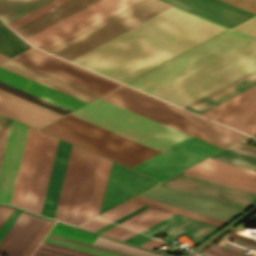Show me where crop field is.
Instances as JSON below:
<instances>
[{"label": "crop field", "mask_w": 256, "mask_h": 256, "mask_svg": "<svg viewBox=\"0 0 256 256\" xmlns=\"http://www.w3.org/2000/svg\"><path fill=\"white\" fill-rule=\"evenodd\" d=\"M225 29L172 7L71 61L125 83Z\"/></svg>", "instance_id": "1"}, {"label": "crop field", "mask_w": 256, "mask_h": 256, "mask_svg": "<svg viewBox=\"0 0 256 256\" xmlns=\"http://www.w3.org/2000/svg\"><path fill=\"white\" fill-rule=\"evenodd\" d=\"M70 114L159 151L189 136L100 98ZM70 114L40 130L129 167L159 152Z\"/></svg>", "instance_id": "2"}, {"label": "crop field", "mask_w": 256, "mask_h": 256, "mask_svg": "<svg viewBox=\"0 0 256 256\" xmlns=\"http://www.w3.org/2000/svg\"><path fill=\"white\" fill-rule=\"evenodd\" d=\"M256 69V40L151 95L182 107Z\"/></svg>", "instance_id": "3"}, {"label": "crop field", "mask_w": 256, "mask_h": 256, "mask_svg": "<svg viewBox=\"0 0 256 256\" xmlns=\"http://www.w3.org/2000/svg\"><path fill=\"white\" fill-rule=\"evenodd\" d=\"M107 101L193 135L221 148L245 135L194 116L122 86L102 97Z\"/></svg>", "instance_id": "4"}, {"label": "crop field", "mask_w": 256, "mask_h": 256, "mask_svg": "<svg viewBox=\"0 0 256 256\" xmlns=\"http://www.w3.org/2000/svg\"><path fill=\"white\" fill-rule=\"evenodd\" d=\"M171 6L139 0L44 51L70 60Z\"/></svg>", "instance_id": "5"}, {"label": "crop field", "mask_w": 256, "mask_h": 256, "mask_svg": "<svg viewBox=\"0 0 256 256\" xmlns=\"http://www.w3.org/2000/svg\"><path fill=\"white\" fill-rule=\"evenodd\" d=\"M253 39L231 30L181 54L127 85L152 93Z\"/></svg>", "instance_id": "6"}, {"label": "crop field", "mask_w": 256, "mask_h": 256, "mask_svg": "<svg viewBox=\"0 0 256 256\" xmlns=\"http://www.w3.org/2000/svg\"><path fill=\"white\" fill-rule=\"evenodd\" d=\"M220 149L190 136L132 168L160 182Z\"/></svg>", "instance_id": "7"}, {"label": "crop field", "mask_w": 256, "mask_h": 256, "mask_svg": "<svg viewBox=\"0 0 256 256\" xmlns=\"http://www.w3.org/2000/svg\"><path fill=\"white\" fill-rule=\"evenodd\" d=\"M161 183L171 189L189 193L244 210L256 202V193L183 172Z\"/></svg>", "instance_id": "8"}, {"label": "crop field", "mask_w": 256, "mask_h": 256, "mask_svg": "<svg viewBox=\"0 0 256 256\" xmlns=\"http://www.w3.org/2000/svg\"><path fill=\"white\" fill-rule=\"evenodd\" d=\"M117 0H100L88 7H86L85 9L65 18L64 20L46 28L45 30L27 38L26 40L29 41L32 45L49 37L50 35L66 28L67 26L83 19L84 17L102 9L103 7L115 2ZM137 0H119L105 8H103L102 10L86 17L85 19L67 27L66 29L50 36L49 38L35 44L34 46L44 50L54 44H56L57 42L67 38L68 36L80 31L81 29L93 24L94 22L120 10L121 8L135 2ZM95 24V23H94Z\"/></svg>", "instance_id": "9"}, {"label": "crop field", "mask_w": 256, "mask_h": 256, "mask_svg": "<svg viewBox=\"0 0 256 256\" xmlns=\"http://www.w3.org/2000/svg\"><path fill=\"white\" fill-rule=\"evenodd\" d=\"M13 58L97 92L101 95L120 85L33 48H30L18 54L17 57L14 56ZM23 58L24 60H22Z\"/></svg>", "instance_id": "10"}, {"label": "crop field", "mask_w": 256, "mask_h": 256, "mask_svg": "<svg viewBox=\"0 0 256 256\" xmlns=\"http://www.w3.org/2000/svg\"><path fill=\"white\" fill-rule=\"evenodd\" d=\"M156 183L149 176L111 162L99 213Z\"/></svg>", "instance_id": "11"}, {"label": "crop field", "mask_w": 256, "mask_h": 256, "mask_svg": "<svg viewBox=\"0 0 256 256\" xmlns=\"http://www.w3.org/2000/svg\"><path fill=\"white\" fill-rule=\"evenodd\" d=\"M201 115L248 133L256 120V85Z\"/></svg>", "instance_id": "12"}, {"label": "crop field", "mask_w": 256, "mask_h": 256, "mask_svg": "<svg viewBox=\"0 0 256 256\" xmlns=\"http://www.w3.org/2000/svg\"><path fill=\"white\" fill-rule=\"evenodd\" d=\"M138 196H142L148 199L159 201L165 204L183 208L227 222L231 221L243 212L242 210L165 189L160 184L139 194Z\"/></svg>", "instance_id": "13"}, {"label": "crop field", "mask_w": 256, "mask_h": 256, "mask_svg": "<svg viewBox=\"0 0 256 256\" xmlns=\"http://www.w3.org/2000/svg\"><path fill=\"white\" fill-rule=\"evenodd\" d=\"M183 172L256 192V172L207 158Z\"/></svg>", "instance_id": "14"}, {"label": "crop field", "mask_w": 256, "mask_h": 256, "mask_svg": "<svg viewBox=\"0 0 256 256\" xmlns=\"http://www.w3.org/2000/svg\"><path fill=\"white\" fill-rule=\"evenodd\" d=\"M87 151L72 145L63 184L55 212V219L65 222L71 221Z\"/></svg>", "instance_id": "15"}, {"label": "crop field", "mask_w": 256, "mask_h": 256, "mask_svg": "<svg viewBox=\"0 0 256 256\" xmlns=\"http://www.w3.org/2000/svg\"><path fill=\"white\" fill-rule=\"evenodd\" d=\"M28 126L12 123L1 171H0V202L10 204L15 179L24 148Z\"/></svg>", "instance_id": "16"}, {"label": "crop field", "mask_w": 256, "mask_h": 256, "mask_svg": "<svg viewBox=\"0 0 256 256\" xmlns=\"http://www.w3.org/2000/svg\"><path fill=\"white\" fill-rule=\"evenodd\" d=\"M58 140L43 134L30 188L28 191L25 209L32 212H41L46 187L52 167V162Z\"/></svg>", "instance_id": "17"}, {"label": "crop field", "mask_w": 256, "mask_h": 256, "mask_svg": "<svg viewBox=\"0 0 256 256\" xmlns=\"http://www.w3.org/2000/svg\"><path fill=\"white\" fill-rule=\"evenodd\" d=\"M228 28L254 15L220 0H163Z\"/></svg>", "instance_id": "18"}, {"label": "crop field", "mask_w": 256, "mask_h": 256, "mask_svg": "<svg viewBox=\"0 0 256 256\" xmlns=\"http://www.w3.org/2000/svg\"><path fill=\"white\" fill-rule=\"evenodd\" d=\"M0 113L36 129L62 116L1 89Z\"/></svg>", "instance_id": "19"}, {"label": "crop field", "mask_w": 256, "mask_h": 256, "mask_svg": "<svg viewBox=\"0 0 256 256\" xmlns=\"http://www.w3.org/2000/svg\"><path fill=\"white\" fill-rule=\"evenodd\" d=\"M47 220L22 212L0 242V252L9 256H21L40 232Z\"/></svg>", "instance_id": "20"}, {"label": "crop field", "mask_w": 256, "mask_h": 256, "mask_svg": "<svg viewBox=\"0 0 256 256\" xmlns=\"http://www.w3.org/2000/svg\"><path fill=\"white\" fill-rule=\"evenodd\" d=\"M0 67L40 82L44 85L72 95L76 98L89 102L101 95L17 61L13 58L0 64Z\"/></svg>", "instance_id": "21"}, {"label": "crop field", "mask_w": 256, "mask_h": 256, "mask_svg": "<svg viewBox=\"0 0 256 256\" xmlns=\"http://www.w3.org/2000/svg\"><path fill=\"white\" fill-rule=\"evenodd\" d=\"M216 229L218 227L173 214L140 232L152 237L162 232L168 237L164 239L166 242L185 233L197 243Z\"/></svg>", "instance_id": "22"}, {"label": "crop field", "mask_w": 256, "mask_h": 256, "mask_svg": "<svg viewBox=\"0 0 256 256\" xmlns=\"http://www.w3.org/2000/svg\"><path fill=\"white\" fill-rule=\"evenodd\" d=\"M42 134V132L29 128L11 202V204L22 208L24 207Z\"/></svg>", "instance_id": "23"}, {"label": "crop field", "mask_w": 256, "mask_h": 256, "mask_svg": "<svg viewBox=\"0 0 256 256\" xmlns=\"http://www.w3.org/2000/svg\"><path fill=\"white\" fill-rule=\"evenodd\" d=\"M0 81L25 90L29 93L57 103L71 110L85 104L86 102L72 96L44 86L40 83L0 68Z\"/></svg>", "instance_id": "24"}, {"label": "crop field", "mask_w": 256, "mask_h": 256, "mask_svg": "<svg viewBox=\"0 0 256 256\" xmlns=\"http://www.w3.org/2000/svg\"><path fill=\"white\" fill-rule=\"evenodd\" d=\"M96 1L98 0H70L13 30L25 39Z\"/></svg>", "instance_id": "25"}, {"label": "crop field", "mask_w": 256, "mask_h": 256, "mask_svg": "<svg viewBox=\"0 0 256 256\" xmlns=\"http://www.w3.org/2000/svg\"><path fill=\"white\" fill-rule=\"evenodd\" d=\"M71 145L59 140L43 204L42 215L54 216Z\"/></svg>", "instance_id": "26"}, {"label": "crop field", "mask_w": 256, "mask_h": 256, "mask_svg": "<svg viewBox=\"0 0 256 256\" xmlns=\"http://www.w3.org/2000/svg\"><path fill=\"white\" fill-rule=\"evenodd\" d=\"M256 83V71L234 81L233 83L209 94L208 96L186 106L185 108L200 113L248 88Z\"/></svg>", "instance_id": "27"}, {"label": "crop field", "mask_w": 256, "mask_h": 256, "mask_svg": "<svg viewBox=\"0 0 256 256\" xmlns=\"http://www.w3.org/2000/svg\"><path fill=\"white\" fill-rule=\"evenodd\" d=\"M99 156L94 155L89 152L72 222L73 224H81L84 221L91 189L93 186L98 162H99Z\"/></svg>", "instance_id": "28"}, {"label": "crop field", "mask_w": 256, "mask_h": 256, "mask_svg": "<svg viewBox=\"0 0 256 256\" xmlns=\"http://www.w3.org/2000/svg\"><path fill=\"white\" fill-rule=\"evenodd\" d=\"M52 0H0V19L6 24Z\"/></svg>", "instance_id": "29"}, {"label": "crop field", "mask_w": 256, "mask_h": 256, "mask_svg": "<svg viewBox=\"0 0 256 256\" xmlns=\"http://www.w3.org/2000/svg\"><path fill=\"white\" fill-rule=\"evenodd\" d=\"M110 162H111L110 160H107V159L102 158V157L100 158V162H99V166H98V170H97L93 190H92V193H91V197H90V201H89L85 221L87 219L97 215V213H98V209H99L103 189H104V186H105V182H106Z\"/></svg>", "instance_id": "30"}, {"label": "crop field", "mask_w": 256, "mask_h": 256, "mask_svg": "<svg viewBox=\"0 0 256 256\" xmlns=\"http://www.w3.org/2000/svg\"><path fill=\"white\" fill-rule=\"evenodd\" d=\"M28 48V45L0 24V53L12 57Z\"/></svg>", "instance_id": "31"}, {"label": "crop field", "mask_w": 256, "mask_h": 256, "mask_svg": "<svg viewBox=\"0 0 256 256\" xmlns=\"http://www.w3.org/2000/svg\"><path fill=\"white\" fill-rule=\"evenodd\" d=\"M210 158L256 171V157L225 149Z\"/></svg>", "instance_id": "32"}, {"label": "crop field", "mask_w": 256, "mask_h": 256, "mask_svg": "<svg viewBox=\"0 0 256 256\" xmlns=\"http://www.w3.org/2000/svg\"><path fill=\"white\" fill-rule=\"evenodd\" d=\"M130 200L141 202V203H144V204H147V205H151V206H154V207H158V208H161V209L172 211V212H175V213H178V214H182V215H185V216H189V217H192V218H196V219L203 220V221L213 223V224H216V225H220V226H223L227 223V222H223V221H220V220H217V219L206 217V216H203V215H200V214H196V213H193V212L182 210V209H179V208H176V207L165 205V204L155 202V201H152V200H148V199L138 197V196H135V197L131 198Z\"/></svg>", "instance_id": "33"}, {"label": "crop field", "mask_w": 256, "mask_h": 256, "mask_svg": "<svg viewBox=\"0 0 256 256\" xmlns=\"http://www.w3.org/2000/svg\"><path fill=\"white\" fill-rule=\"evenodd\" d=\"M96 246L104 247L107 249L131 254L134 256H163L159 254L150 253L117 241H113L104 237L99 236L98 240L95 243Z\"/></svg>", "instance_id": "34"}, {"label": "crop field", "mask_w": 256, "mask_h": 256, "mask_svg": "<svg viewBox=\"0 0 256 256\" xmlns=\"http://www.w3.org/2000/svg\"><path fill=\"white\" fill-rule=\"evenodd\" d=\"M49 234L63 236V237L91 243V244H94V242L98 238L97 235L80 231L68 226L58 224V223H56L55 226L50 230Z\"/></svg>", "instance_id": "35"}, {"label": "crop field", "mask_w": 256, "mask_h": 256, "mask_svg": "<svg viewBox=\"0 0 256 256\" xmlns=\"http://www.w3.org/2000/svg\"><path fill=\"white\" fill-rule=\"evenodd\" d=\"M165 213H167V212L150 207V208L134 215L133 217L121 222L120 224L125 225V226L130 227L135 230V229L143 226L144 224L160 217L161 215H163Z\"/></svg>", "instance_id": "36"}, {"label": "crop field", "mask_w": 256, "mask_h": 256, "mask_svg": "<svg viewBox=\"0 0 256 256\" xmlns=\"http://www.w3.org/2000/svg\"><path fill=\"white\" fill-rule=\"evenodd\" d=\"M141 206H143V205L127 201V202H125V203L99 215V216L106 218L108 220L114 221V220L138 209Z\"/></svg>", "instance_id": "37"}, {"label": "crop field", "mask_w": 256, "mask_h": 256, "mask_svg": "<svg viewBox=\"0 0 256 256\" xmlns=\"http://www.w3.org/2000/svg\"><path fill=\"white\" fill-rule=\"evenodd\" d=\"M44 241H48V242L68 246V247H71V248H75V249L95 253V254L102 255V256H121V255L105 252V251H102V250L86 247V246H83V245L67 242V241H64V240H60V239H56V238H52V237H48V236H46L44 238Z\"/></svg>", "instance_id": "38"}, {"label": "crop field", "mask_w": 256, "mask_h": 256, "mask_svg": "<svg viewBox=\"0 0 256 256\" xmlns=\"http://www.w3.org/2000/svg\"><path fill=\"white\" fill-rule=\"evenodd\" d=\"M65 1H67V0H54V1H52V2H50L48 4H46V5L42 6L41 8H39V9H37V10L27 14V15H25L24 17H22V18L14 21V22L8 24V25L13 29V28H15V27L25 23L26 21H28V20L38 16L39 14H41V13H43V12H45V11L51 9V8H54V7L58 6V5H60L61 3L65 2Z\"/></svg>", "instance_id": "39"}, {"label": "crop field", "mask_w": 256, "mask_h": 256, "mask_svg": "<svg viewBox=\"0 0 256 256\" xmlns=\"http://www.w3.org/2000/svg\"><path fill=\"white\" fill-rule=\"evenodd\" d=\"M11 120L0 116V166L11 126Z\"/></svg>", "instance_id": "40"}, {"label": "crop field", "mask_w": 256, "mask_h": 256, "mask_svg": "<svg viewBox=\"0 0 256 256\" xmlns=\"http://www.w3.org/2000/svg\"><path fill=\"white\" fill-rule=\"evenodd\" d=\"M232 29L240 31L250 37L256 38V16L233 27Z\"/></svg>", "instance_id": "41"}, {"label": "crop field", "mask_w": 256, "mask_h": 256, "mask_svg": "<svg viewBox=\"0 0 256 256\" xmlns=\"http://www.w3.org/2000/svg\"><path fill=\"white\" fill-rule=\"evenodd\" d=\"M37 251H41V252H45V253H49L57 256H85V255L65 251L62 249H58V248H54V247H50L42 244H40V246L37 248Z\"/></svg>", "instance_id": "42"}, {"label": "crop field", "mask_w": 256, "mask_h": 256, "mask_svg": "<svg viewBox=\"0 0 256 256\" xmlns=\"http://www.w3.org/2000/svg\"><path fill=\"white\" fill-rule=\"evenodd\" d=\"M223 1L256 14V0H223Z\"/></svg>", "instance_id": "43"}, {"label": "crop field", "mask_w": 256, "mask_h": 256, "mask_svg": "<svg viewBox=\"0 0 256 256\" xmlns=\"http://www.w3.org/2000/svg\"><path fill=\"white\" fill-rule=\"evenodd\" d=\"M52 224H53V222H50V221L47 222V224L44 226V228L41 230V232L34 239V241L31 243V245L28 247V249L24 252V254L22 256L30 255V253L37 246V244L40 242V240L43 238V236L46 234V232L49 230V228L52 226Z\"/></svg>", "instance_id": "44"}, {"label": "crop field", "mask_w": 256, "mask_h": 256, "mask_svg": "<svg viewBox=\"0 0 256 256\" xmlns=\"http://www.w3.org/2000/svg\"><path fill=\"white\" fill-rule=\"evenodd\" d=\"M20 213L21 211L14 209L10 216L7 218V220L4 222V224L0 227V240L14 223V221L17 219V217L20 215Z\"/></svg>", "instance_id": "45"}, {"label": "crop field", "mask_w": 256, "mask_h": 256, "mask_svg": "<svg viewBox=\"0 0 256 256\" xmlns=\"http://www.w3.org/2000/svg\"><path fill=\"white\" fill-rule=\"evenodd\" d=\"M227 149H231V150L245 153L248 155L256 156V147L249 146V145L239 143V142L233 144L232 146L228 147Z\"/></svg>", "instance_id": "46"}, {"label": "crop field", "mask_w": 256, "mask_h": 256, "mask_svg": "<svg viewBox=\"0 0 256 256\" xmlns=\"http://www.w3.org/2000/svg\"><path fill=\"white\" fill-rule=\"evenodd\" d=\"M111 222H108L106 220H103V219H100V218H94L82 225H80L79 227H82V228H85V229H88V230H92V231H95L107 224H109Z\"/></svg>", "instance_id": "47"}, {"label": "crop field", "mask_w": 256, "mask_h": 256, "mask_svg": "<svg viewBox=\"0 0 256 256\" xmlns=\"http://www.w3.org/2000/svg\"><path fill=\"white\" fill-rule=\"evenodd\" d=\"M129 232H131V230L126 229L124 227H121L119 225H116V226L102 232L101 234H104V235H107L109 237L117 239V238H119V237H121V236H123V235H125Z\"/></svg>", "instance_id": "48"}, {"label": "crop field", "mask_w": 256, "mask_h": 256, "mask_svg": "<svg viewBox=\"0 0 256 256\" xmlns=\"http://www.w3.org/2000/svg\"><path fill=\"white\" fill-rule=\"evenodd\" d=\"M205 252H208L217 256H240L213 245H211L208 249H206Z\"/></svg>", "instance_id": "49"}, {"label": "crop field", "mask_w": 256, "mask_h": 256, "mask_svg": "<svg viewBox=\"0 0 256 256\" xmlns=\"http://www.w3.org/2000/svg\"><path fill=\"white\" fill-rule=\"evenodd\" d=\"M152 238L148 237V236H145V235H142L140 233L130 237L129 239L125 240L126 242H130V243H133V244H137V245H140L148 240H150Z\"/></svg>", "instance_id": "50"}, {"label": "crop field", "mask_w": 256, "mask_h": 256, "mask_svg": "<svg viewBox=\"0 0 256 256\" xmlns=\"http://www.w3.org/2000/svg\"><path fill=\"white\" fill-rule=\"evenodd\" d=\"M13 208L0 205V226L12 212Z\"/></svg>", "instance_id": "51"}, {"label": "crop field", "mask_w": 256, "mask_h": 256, "mask_svg": "<svg viewBox=\"0 0 256 256\" xmlns=\"http://www.w3.org/2000/svg\"><path fill=\"white\" fill-rule=\"evenodd\" d=\"M163 244H164V243L159 242V241H157V240H155V239H152V240H150V241H148V242L142 244L141 246H144V247H147V248H149V249L154 250V249H156L157 247H159V246H161V245H163Z\"/></svg>", "instance_id": "52"}, {"label": "crop field", "mask_w": 256, "mask_h": 256, "mask_svg": "<svg viewBox=\"0 0 256 256\" xmlns=\"http://www.w3.org/2000/svg\"><path fill=\"white\" fill-rule=\"evenodd\" d=\"M48 236H52V237H56V238H60V239H64V240H67V241H71V242H75V243L83 244V245H86V246H90V247H94V248L102 249V250H105V251H109V252H113V253L121 254V255H124V256H130V255H127V254H123V253H119V252H115V251H111V250H107V249H103V248L95 247V246H92V245H88V244H84V243L76 242V241H73V240H69V239H65V238H61V237H57V236H53V235H49V234H48Z\"/></svg>", "instance_id": "53"}, {"label": "crop field", "mask_w": 256, "mask_h": 256, "mask_svg": "<svg viewBox=\"0 0 256 256\" xmlns=\"http://www.w3.org/2000/svg\"><path fill=\"white\" fill-rule=\"evenodd\" d=\"M42 244H46V245L62 248V249H65V250H69V251L85 254V255H88V256H97V255H93V254H89V253H85V252H81V251H77V250H73V249H69V248H65V247H61V246H57V245H53V244H49V243H46L44 241H42Z\"/></svg>", "instance_id": "54"}, {"label": "crop field", "mask_w": 256, "mask_h": 256, "mask_svg": "<svg viewBox=\"0 0 256 256\" xmlns=\"http://www.w3.org/2000/svg\"><path fill=\"white\" fill-rule=\"evenodd\" d=\"M165 214H166V213H165ZM163 215H164V214H163ZM169 215H171V213H168V214H166V215H164V216L161 215L162 217H160V218H158V219H156V220H154V221H152V222L150 221L151 223L148 222L149 224L146 223L147 225L144 224L145 226H143V227L137 229V231H140V230H142V229H144V228H146V227H148V226H150V225L156 223L157 221H159V220H161V219H163V218H165V217H167V216H169Z\"/></svg>", "instance_id": "55"}, {"label": "crop field", "mask_w": 256, "mask_h": 256, "mask_svg": "<svg viewBox=\"0 0 256 256\" xmlns=\"http://www.w3.org/2000/svg\"><path fill=\"white\" fill-rule=\"evenodd\" d=\"M228 235L256 245V242H255V241H252V240H249V239H247V238L241 237V236L236 235V234H234V233H232V232L228 233Z\"/></svg>", "instance_id": "56"}, {"label": "crop field", "mask_w": 256, "mask_h": 256, "mask_svg": "<svg viewBox=\"0 0 256 256\" xmlns=\"http://www.w3.org/2000/svg\"><path fill=\"white\" fill-rule=\"evenodd\" d=\"M33 256H53V255H49V254H45V253L35 251L33 253Z\"/></svg>", "instance_id": "57"}, {"label": "crop field", "mask_w": 256, "mask_h": 256, "mask_svg": "<svg viewBox=\"0 0 256 256\" xmlns=\"http://www.w3.org/2000/svg\"><path fill=\"white\" fill-rule=\"evenodd\" d=\"M136 233H137V232L133 231V232H131V233H129V234H127V235H125V236L119 238V239H120V240H124V239H126V238H128V237H130V236H132V235H134V234H136Z\"/></svg>", "instance_id": "58"}, {"label": "crop field", "mask_w": 256, "mask_h": 256, "mask_svg": "<svg viewBox=\"0 0 256 256\" xmlns=\"http://www.w3.org/2000/svg\"><path fill=\"white\" fill-rule=\"evenodd\" d=\"M8 58L9 57L0 54V63L3 62L4 60L8 59Z\"/></svg>", "instance_id": "59"}, {"label": "crop field", "mask_w": 256, "mask_h": 256, "mask_svg": "<svg viewBox=\"0 0 256 256\" xmlns=\"http://www.w3.org/2000/svg\"><path fill=\"white\" fill-rule=\"evenodd\" d=\"M255 132H256V123H255L254 127L252 128L250 134L254 135Z\"/></svg>", "instance_id": "60"}, {"label": "crop field", "mask_w": 256, "mask_h": 256, "mask_svg": "<svg viewBox=\"0 0 256 256\" xmlns=\"http://www.w3.org/2000/svg\"><path fill=\"white\" fill-rule=\"evenodd\" d=\"M203 254H206V255H208V256H214V255H211V254H208V253H205V252H203Z\"/></svg>", "instance_id": "61"}]
</instances>
